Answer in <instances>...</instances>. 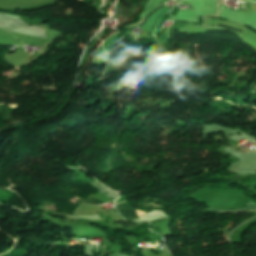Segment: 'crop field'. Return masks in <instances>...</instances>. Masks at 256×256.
I'll use <instances>...</instances> for the list:
<instances>
[{"label": "crop field", "instance_id": "crop-field-1", "mask_svg": "<svg viewBox=\"0 0 256 256\" xmlns=\"http://www.w3.org/2000/svg\"><path fill=\"white\" fill-rule=\"evenodd\" d=\"M127 207H128V204H119L117 209L123 210L128 220H130V219L131 220H136L137 216H136V214L134 212V209H132L130 207V209L127 210ZM136 212H137L139 217L142 216L143 214H145V213H143V212H141L139 210H136Z\"/></svg>", "mask_w": 256, "mask_h": 256}, {"label": "crop field", "instance_id": "crop-field-4", "mask_svg": "<svg viewBox=\"0 0 256 256\" xmlns=\"http://www.w3.org/2000/svg\"><path fill=\"white\" fill-rule=\"evenodd\" d=\"M47 44H48V43H47ZM47 44H45V45H47ZM45 45H44V46H45Z\"/></svg>", "mask_w": 256, "mask_h": 256}, {"label": "crop field", "instance_id": "crop-field-2", "mask_svg": "<svg viewBox=\"0 0 256 256\" xmlns=\"http://www.w3.org/2000/svg\"><path fill=\"white\" fill-rule=\"evenodd\" d=\"M247 208L245 209L242 208V209H239V210H221V209H217V208H209L207 210H209L210 212H219V213H222V212H227V211H230L232 213H238V212H246L248 211L247 209L250 208L249 211H252L253 209L256 208V203H254L253 201H249L247 204H246Z\"/></svg>", "mask_w": 256, "mask_h": 256}, {"label": "crop field", "instance_id": "crop-field-3", "mask_svg": "<svg viewBox=\"0 0 256 256\" xmlns=\"http://www.w3.org/2000/svg\"><path fill=\"white\" fill-rule=\"evenodd\" d=\"M83 202L89 203L91 205H98V204H103L102 202H100L99 200H97L96 198L90 196L88 197L86 200H84Z\"/></svg>", "mask_w": 256, "mask_h": 256}]
</instances>
